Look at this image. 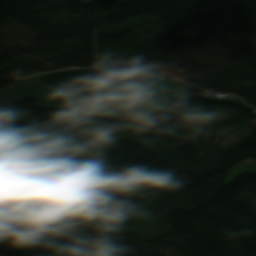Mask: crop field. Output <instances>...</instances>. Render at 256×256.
I'll list each match as a JSON object with an SVG mask.
<instances>
[{"instance_id":"obj_1","label":"crop field","mask_w":256,"mask_h":256,"mask_svg":"<svg viewBox=\"0 0 256 256\" xmlns=\"http://www.w3.org/2000/svg\"><path fill=\"white\" fill-rule=\"evenodd\" d=\"M180 84L181 82L168 78L149 87L107 101L99 106V110L86 109L81 111L80 117L117 119V117L134 109H138L150 117L174 107L167 101L190 98L188 95L175 93L184 89Z\"/></svg>"},{"instance_id":"obj_2","label":"crop field","mask_w":256,"mask_h":256,"mask_svg":"<svg viewBox=\"0 0 256 256\" xmlns=\"http://www.w3.org/2000/svg\"><path fill=\"white\" fill-rule=\"evenodd\" d=\"M30 97L38 101V108L83 110L91 105H80V94L61 88L53 89L39 81L31 84L18 83L0 90V116L23 121L39 127L43 124L35 122L32 114L12 106Z\"/></svg>"},{"instance_id":"obj_3","label":"crop field","mask_w":256,"mask_h":256,"mask_svg":"<svg viewBox=\"0 0 256 256\" xmlns=\"http://www.w3.org/2000/svg\"><path fill=\"white\" fill-rule=\"evenodd\" d=\"M158 81L160 80L150 78L145 81H142V84L137 85V84L129 83L124 80H118L84 93L95 96V97H99L102 99L110 100V99L117 98L121 95L127 94L129 92L149 86Z\"/></svg>"},{"instance_id":"obj_4","label":"crop field","mask_w":256,"mask_h":256,"mask_svg":"<svg viewBox=\"0 0 256 256\" xmlns=\"http://www.w3.org/2000/svg\"><path fill=\"white\" fill-rule=\"evenodd\" d=\"M119 78L116 77L115 75H110L106 77L105 75L98 74L95 76H92L90 78L81 80L79 82L73 83L71 85L65 86V88H69L72 90L84 92L93 88H96L98 86L110 83L112 81L118 80Z\"/></svg>"},{"instance_id":"obj_5","label":"crop field","mask_w":256,"mask_h":256,"mask_svg":"<svg viewBox=\"0 0 256 256\" xmlns=\"http://www.w3.org/2000/svg\"><path fill=\"white\" fill-rule=\"evenodd\" d=\"M243 171L250 172V173H253L256 175V161L253 159H246L242 163H240V164L234 166L233 168H231L230 170H228L227 173L229 175H228V177L226 179L227 181L225 183H227L228 181H230L231 179H233L234 177H236Z\"/></svg>"}]
</instances>
